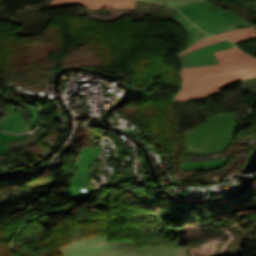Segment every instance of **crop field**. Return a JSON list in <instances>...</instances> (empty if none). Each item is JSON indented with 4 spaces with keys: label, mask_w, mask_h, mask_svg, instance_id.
<instances>
[{
    "label": "crop field",
    "mask_w": 256,
    "mask_h": 256,
    "mask_svg": "<svg viewBox=\"0 0 256 256\" xmlns=\"http://www.w3.org/2000/svg\"><path fill=\"white\" fill-rule=\"evenodd\" d=\"M226 158L216 159L213 161H183L180 169L185 170H201V169H212L222 166L226 162Z\"/></svg>",
    "instance_id": "5a996713"
},
{
    "label": "crop field",
    "mask_w": 256,
    "mask_h": 256,
    "mask_svg": "<svg viewBox=\"0 0 256 256\" xmlns=\"http://www.w3.org/2000/svg\"><path fill=\"white\" fill-rule=\"evenodd\" d=\"M232 113L214 116L193 129L183 131L187 151L193 153H213L229 144L236 120Z\"/></svg>",
    "instance_id": "34b2d1b8"
},
{
    "label": "crop field",
    "mask_w": 256,
    "mask_h": 256,
    "mask_svg": "<svg viewBox=\"0 0 256 256\" xmlns=\"http://www.w3.org/2000/svg\"><path fill=\"white\" fill-rule=\"evenodd\" d=\"M2 151H5V149H4V147H3L2 143H1L0 144V152H2Z\"/></svg>",
    "instance_id": "22f410ed"
},
{
    "label": "crop field",
    "mask_w": 256,
    "mask_h": 256,
    "mask_svg": "<svg viewBox=\"0 0 256 256\" xmlns=\"http://www.w3.org/2000/svg\"><path fill=\"white\" fill-rule=\"evenodd\" d=\"M220 64L180 69L182 86L173 102L192 101L215 94L239 81L256 77V59L237 47L215 53Z\"/></svg>",
    "instance_id": "8a807250"
},
{
    "label": "crop field",
    "mask_w": 256,
    "mask_h": 256,
    "mask_svg": "<svg viewBox=\"0 0 256 256\" xmlns=\"http://www.w3.org/2000/svg\"><path fill=\"white\" fill-rule=\"evenodd\" d=\"M170 20L174 21L175 23L179 24L185 32L189 35L190 43L189 46L193 45L194 43L206 38L209 36L208 34L204 33L203 31L199 30L195 26H193L182 14H177L176 16L172 17Z\"/></svg>",
    "instance_id": "e52e79f7"
},
{
    "label": "crop field",
    "mask_w": 256,
    "mask_h": 256,
    "mask_svg": "<svg viewBox=\"0 0 256 256\" xmlns=\"http://www.w3.org/2000/svg\"><path fill=\"white\" fill-rule=\"evenodd\" d=\"M25 137H28V135H9V134L0 132V143L6 142V141L19 140Z\"/></svg>",
    "instance_id": "28ad6ade"
},
{
    "label": "crop field",
    "mask_w": 256,
    "mask_h": 256,
    "mask_svg": "<svg viewBox=\"0 0 256 256\" xmlns=\"http://www.w3.org/2000/svg\"><path fill=\"white\" fill-rule=\"evenodd\" d=\"M151 1H154V0H151Z\"/></svg>",
    "instance_id": "cbeb9de0"
},
{
    "label": "crop field",
    "mask_w": 256,
    "mask_h": 256,
    "mask_svg": "<svg viewBox=\"0 0 256 256\" xmlns=\"http://www.w3.org/2000/svg\"><path fill=\"white\" fill-rule=\"evenodd\" d=\"M26 111L29 110L31 115L30 121H26L25 117L22 116L18 106L7 105L4 116L0 119V127L3 130L11 132H25L29 131L32 125L37 126L39 123V116L35 107L24 106Z\"/></svg>",
    "instance_id": "f4fd0767"
},
{
    "label": "crop field",
    "mask_w": 256,
    "mask_h": 256,
    "mask_svg": "<svg viewBox=\"0 0 256 256\" xmlns=\"http://www.w3.org/2000/svg\"><path fill=\"white\" fill-rule=\"evenodd\" d=\"M57 251L62 256H188L185 247L151 245L139 249L134 241H109L105 236L80 238Z\"/></svg>",
    "instance_id": "ac0d7876"
},
{
    "label": "crop field",
    "mask_w": 256,
    "mask_h": 256,
    "mask_svg": "<svg viewBox=\"0 0 256 256\" xmlns=\"http://www.w3.org/2000/svg\"><path fill=\"white\" fill-rule=\"evenodd\" d=\"M135 0H52L47 9L84 5L87 9L134 8Z\"/></svg>",
    "instance_id": "dd49c442"
},
{
    "label": "crop field",
    "mask_w": 256,
    "mask_h": 256,
    "mask_svg": "<svg viewBox=\"0 0 256 256\" xmlns=\"http://www.w3.org/2000/svg\"><path fill=\"white\" fill-rule=\"evenodd\" d=\"M220 40H223V39L215 38V37L210 36V37H208V38H206V39H204V40H202V41H200V42L194 44L193 46L189 47L188 49L184 50L183 52H181V53L178 54L177 56H180V55H182V54H185V53H187V52H190V51H192V50H195V49H197V48H200V47H202V46H205V45H208V44H211V43H213V42L220 41Z\"/></svg>",
    "instance_id": "3316defc"
},
{
    "label": "crop field",
    "mask_w": 256,
    "mask_h": 256,
    "mask_svg": "<svg viewBox=\"0 0 256 256\" xmlns=\"http://www.w3.org/2000/svg\"><path fill=\"white\" fill-rule=\"evenodd\" d=\"M213 36L227 38L231 41H234L235 43H238V42L248 40L250 38H256V28H255V25H253L251 27L235 29V30L220 33Z\"/></svg>",
    "instance_id": "d8731c3e"
},
{
    "label": "crop field",
    "mask_w": 256,
    "mask_h": 256,
    "mask_svg": "<svg viewBox=\"0 0 256 256\" xmlns=\"http://www.w3.org/2000/svg\"><path fill=\"white\" fill-rule=\"evenodd\" d=\"M157 2H177V1H189V0H155Z\"/></svg>",
    "instance_id": "d1516ede"
},
{
    "label": "crop field",
    "mask_w": 256,
    "mask_h": 256,
    "mask_svg": "<svg viewBox=\"0 0 256 256\" xmlns=\"http://www.w3.org/2000/svg\"><path fill=\"white\" fill-rule=\"evenodd\" d=\"M165 4L179 9L192 23L211 35L251 25L237 14L207 1Z\"/></svg>",
    "instance_id": "412701ff"
}]
</instances>
